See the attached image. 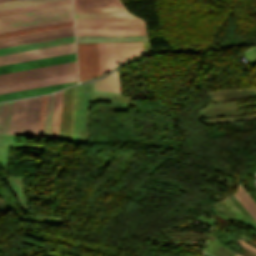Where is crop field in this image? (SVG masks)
Listing matches in <instances>:
<instances>
[{"label": "crop field", "mask_w": 256, "mask_h": 256, "mask_svg": "<svg viewBox=\"0 0 256 256\" xmlns=\"http://www.w3.org/2000/svg\"><path fill=\"white\" fill-rule=\"evenodd\" d=\"M41 96L1 103L0 133L37 136Z\"/></svg>", "instance_id": "obj_1"}, {"label": "crop field", "mask_w": 256, "mask_h": 256, "mask_svg": "<svg viewBox=\"0 0 256 256\" xmlns=\"http://www.w3.org/2000/svg\"><path fill=\"white\" fill-rule=\"evenodd\" d=\"M72 18L71 4L0 16V31Z\"/></svg>", "instance_id": "obj_2"}, {"label": "crop field", "mask_w": 256, "mask_h": 256, "mask_svg": "<svg viewBox=\"0 0 256 256\" xmlns=\"http://www.w3.org/2000/svg\"><path fill=\"white\" fill-rule=\"evenodd\" d=\"M101 75L142 53L141 43L98 44Z\"/></svg>", "instance_id": "obj_3"}, {"label": "crop field", "mask_w": 256, "mask_h": 256, "mask_svg": "<svg viewBox=\"0 0 256 256\" xmlns=\"http://www.w3.org/2000/svg\"><path fill=\"white\" fill-rule=\"evenodd\" d=\"M76 72L75 62L1 74L0 85Z\"/></svg>", "instance_id": "obj_4"}, {"label": "crop field", "mask_w": 256, "mask_h": 256, "mask_svg": "<svg viewBox=\"0 0 256 256\" xmlns=\"http://www.w3.org/2000/svg\"><path fill=\"white\" fill-rule=\"evenodd\" d=\"M80 81L100 75L97 44H77Z\"/></svg>", "instance_id": "obj_5"}, {"label": "crop field", "mask_w": 256, "mask_h": 256, "mask_svg": "<svg viewBox=\"0 0 256 256\" xmlns=\"http://www.w3.org/2000/svg\"><path fill=\"white\" fill-rule=\"evenodd\" d=\"M75 52L74 43L0 56V65Z\"/></svg>", "instance_id": "obj_6"}, {"label": "crop field", "mask_w": 256, "mask_h": 256, "mask_svg": "<svg viewBox=\"0 0 256 256\" xmlns=\"http://www.w3.org/2000/svg\"><path fill=\"white\" fill-rule=\"evenodd\" d=\"M146 34L144 25L76 26V35Z\"/></svg>", "instance_id": "obj_7"}, {"label": "crop field", "mask_w": 256, "mask_h": 256, "mask_svg": "<svg viewBox=\"0 0 256 256\" xmlns=\"http://www.w3.org/2000/svg\"><path fill=\"white\" fill-rule=\"evenodd\" d=\"M73 61H75V53L0 66V74L19 71V70H25V69H31V68H37V67H43V66H49V65H55V64H61V63H67V62H73Z\"/></svg>", "instance_id": "obj_8"}, {"label": "crop field", "mask_w": 256, "mask_h": 256, "mask_svg": "<svg viewBox=\"0 0 256 256\" xmlns=\"http://www.w3.org/2000/svg\"><path fill=\"white\" fill-rule=\"evenodd\" d=\"M77 80L76 73L0 86V93Z\"/></svg>", "instance_id": "obj_9"}, {"label": "crop field", "mask_w": 256, "mask_h": 256, "mask_svg": "<svg viewBox=\"0 0 256 256\" xmlns=\"http://www.w3.org/2000/svg\"><path fill=\"white\" fill-rule=\"evenodd\" d=\"M72 42H74L73 36L59 38V39H53V40H47V41H41V42H35V43H29V44H23V45H17V46H11V47H5V48H0V55L20 52V51H26V50H32V49H38V48H43V47H49V46H55V45H60V44L72 43Z\"/></svg>", "instance_id": "obj_10"}, {"label": "crop field", "mask_w": 256, "mask_h": 256, "mask_svg": "<svg viewBox=\"0 0 256 256\" xmlns=\"http://www.w3.org/2000/svg\"><path fill=\"white\" fill-rule=\"evenodd\" d=\"M75 82H69V83H63V84H57V85H51V86H45V87H39L37 88L40 94L49 93L52 91H56L62 87H67L70 85L76 84ZM36 88L34 89H28V90H22V91H16V92H10V93H4L0 94V101L9 100L13 98H19V97H26V96H32L39 94Z\"/></svg>", "instance_id": "obj_11"}, {"label": "crop field", "mask_w": 256, "mask_h": 256, "mask_svg": "<svg viewBox=\"0 0 256 256\" xmlns=\"http://www.w3.org/2000/svg\"><path fill=\"white\" fill-rule=\"evenodd\" d=\"M92 83L94 92L121 94L117 71Z\"/></svg>", "instance_id": "obj_12"}, {"label": "crop field", "mask_w": 256, "mask_h": 256, "mask_svg": "<svg viewBox=\"0 0 256 256\" xmlns=\"http://www.w3.org/2000/svg\"><path fill=\"white\" fill-rule=\"evenodd\" d=\"M77 42L147 41L146 35L76 36Z\"/></svg>", "instance_id": "obj_13"}, {"label": "crop field", "mask_w": 256, "mask_h": 256, "mask_svg": "<svg viewBox=\"0 0 256 256\" xmlns=\"http://www.w3.org/2000/svg\"><path fill=\"white\" fill-rule=\"evenodd\" d=\"M76 25L144 24L138 18L75 19Z\"/></svg>", "instance_id": "obj_14"}, {"label": "crop field", "mask_w": 256, "mask_h": 256, "mask_svg": "<svg viewBox=\"0 0 256 256\" xmlns=\"http://www.w3.org/2000/svg\"><path fill=\"white\" fill-rule=\"evenodd\" d=\"M63 91L55 95L51 139L58 140Z\"/></svg>", "instance_id": "obj_15"}, {"label": "crop field", "mask_w": 256, "mask_h": 256, "mask_svg": "<svg viewBox=\"0 0 256 256\" xmlns=\"http://www.w3.org/2000/svg\"><path fill=\"white\" fill-rule=\"evenodd\" d=\"M233 195L256 220V203L254 204V202L251 200L252 198L250 199L241 186H239L238 190Z\"/></svg>", "instance_id": "obj_16"}, {"label": "crop field", "mask_w": 256, "mask_h": 256, "mask_svg": "<svg viewBox=\"0 0 256 256\" xmlns=\"http://www.w3.org/2000/svg\"><path fill=\"white\" fill-rule=\"evenodd\" d=\"M74 7L122 6L119 0H73Z\"/></svg>", "instance_id": "obj_17"}, {"label": "crop field", "mask_w": 256, "mask_h": 256, "mask_svg": "<svg viewBox=\"0 0 256 256\" xmlns=\"http://www.w3.org/2000/svg\"><path fill=\"white\" fill-rule=\"evenodd\" d=\"M71 30H73V26L54 29V30H48V31H42V32H37V33L25 34V35H20V36L2 38V39H0V43L14 41V40H20V39H26V38H31V37H37V36H43V35H48V34H54V33H59V32L71 31Z\"/></svg>", "instance_id": "obj_18"}, {"label": "crop field", "mask_w": 256, "mask_h": 256, "mask_svg": "<svg viewBox=\"0 0 256 256\" xmlns=\"http://www.w3.org/2000/svg\"><path fill=\"white\" fill-rule=\"evenodd\" d=\"M69 3H71V0H63V1H57V2L33 5V6H27V7L3 10V11H0V15L9 14V13H15V12H21V11H27V10H33V9H39V8H45V7H51V6H57V5H63V4H69Z\"/></svg>", "instance_id": "obj_19"}, {"label": "crop field", "mask_w": 256, "mask_h": 256, "mask_svg": "<svg viewBox=\"0 0 256 256\" xmlns=\"http://www.w3.org/2000/svg\"><path fill=\"white\" fill-rule=\"evenodd\" d=\"M71 35H73V31L54 34V35H48V36H43V37L31 38V39H26V40L14 41V42H9V43H3V44H0V47L23 44V43H29V42H35V41H41V40H47V39H53V38H59V37H65V36H71Z\"/></svg>", "instance_id": "obj_20"}, {"label": "crop field", "mask_w": 256, "mask_h": 256, "mask_svg": "<svg viewBox=\"0 0 256 256\" xmlns=\"http://www.w3.org/2000/svg\"><path fill=\"white\" fill-rule=\"evenodd\" d=\"M50 1H56V0H14V1L2 2L0 3V10L38 4V3H44V2H50Z\"/></svg>", "instance_id": "obj_21"}, {"label": "crop field", "mask_w": 256, "mask_h": 256, "mask_svg": "<svg viewBox=\"0 0 256 256\" xmlns=\"http://www.w3.org/2000/svg\"><path fill=\"white\" fill-rule=\"evenodd\" d=\"M75 13L127 12L124 7L74 8Z\"/></svg>", "instance_id": "obj_22"}, {"label": "crop field", "mask_w": 256, "mask_h": 256, "mask_svg": "<svg viewBox=\"0 0 256 256\" xmlns=\"http://www.w3.org/2000/svg\"><path fill=\"white\" fill-rule=\"evenodd\" d=\"M71 25H73L72 22L58 24V25H52V26H46V27H40V28H34V29H28V30H22V31H16V32H10V33H4V34H0V38L19 35V34H25V33H31V32H37V31H42V30L54 29V28H59V27L71 26Z\"/></svg>", "instance_id": "obj_23"}, {"label": "crop field", "mask_w": 256, "mask_h": 256, "mask_svg": "<svg viewBox=\"0 0 256 256\" xmlns=\"http://www.w3.org/2000/svg\"><path fill=\"white\" fill-rule=\"evenodd\" d=\"M135 17L130 13L75 14V18Z\"/></svg>", "instance_id": "obj_24"}, {"label": "crop field", "mask_w": 256, "mask_h": 256, "mask_svg": "<svg viewBox=\"0 0 256 256\" xmlns=\"http://www.w3.org/2000/svg\"><path fill=\"white\" fill-rule=\"evenodd\" d=\"M53 95H48L44 136L49 137Z\"/></svg>", "instance_id": "obj_25"}, {"label": "crop field", "mask_w": 256, "mask_h": 256, "mask_svg": "<svg viewBox=\"0 0 256 256\" xmlns=\"http://www.w3.org/2000/svg\"><path fill=\"white\" fill-rule=\"evenodd\" d=\"M47 95L42 96L38 136H43Z\"/></svg>", "instance_id": "obj_26"}, {"label": "crop field", "mask_w": 256, "mask_h": 256, "mask_svg": "<svg viewBox=\"0 0 256 256\" xmlns=\"http://www.w3.org/2000/svg\"><path fill=\"white\" fill-rule=\"evenodd\" d=\"M70 21H72V19L64 20V21H58V22H53V23H47V24H42V25H36V26H30V27H25V28L13 29V30H8V31H2L0 33L16 31V30H22V29H28V28H34V27H40V26H46V25H52V24H58V23H64V22H70Z\"/></svg>", "instance_id": "obj_27"}, {"label": "crop field", "mask_w": 256, "mask_h": 256, "mask_svg": "<svg viewBox=\"0 0 256 256\" xmlns=\"http://www.w3.org/2000/svg\"><path fill=\"white\" fill-rule=\"evenodd\" d=\"M227 206L234 212V214L239 217L242 216V214L239 212V210L233 205V203L229 200V198H226L223 200Z\"/></svg>", "instance_id": "obj_28"}, {"label": "crop field", "mask_w": 256, "mask_h": 256, "mask_svg": "<svg viewBox=\"0 0 256 256\" xmlns=\"http://www.w3.org/2000/svg\"><path fill=\"white\" fill-rule=\"evenodd\" d=\"M256 118L255 116H249V117H243V118H233V119H227V120H218V121H208V122H203L204 124H209V123H218V122H229V121H237V120H244V119H252Z\"/></svg>", "instance_id": "obj_29"}, {"label": "crop field", "mask_w": 256, "mask_h": 256, "mask_svg": "<svg viewBox=\"0 0 256 256\" xmlns=\"http://www.w3.org/2000/svg\"><path fill=\"white\" fill-rule=\"evenodd\" d=\"M247 103H249V102H247ZM239 104H243V103H239ZM231 105H237V104H231ZM222 106H227V105H222ZM214 107V106H213Z\"/></svg>", "instance_id": "obj_30"}, {"label": "crop field", "mask_w": 256, "mask_h": 256, "mask_svg": "<svg viewBox=\"0 0 256 256\" xmlns=\"http://www.w3.org/2000/svg\"><path fill=\"white\" fill-rule=\"evenodd\" d=\"M2 1H8V0H0V2H2Z\"/></svg>", "instance_id": "obj_31"}, {"label": "crop field", "mask_w": 256, "mask_h": 256, "mask_svg": "<svg viewBox=\"0 0 256 256\" xmlns=\"http://www.w3.org/2000/svg\"><path fill=\"white\" fill-rule=\"evenodd\" d=\"M238 254H235L234 256H237ZM239 256V255H238Z\"/></svg>", "instance_id": "obj_32"}, {"label": "crop field", "mask_w": 256, "mask_h": 256, "mask_svg": "<svg viewBox=\"0 0 256 256\" xmlns=\"http://www.w3.org/2000/svg\"><path fill=\"white\" fill-rule=\"evenodd\" d=\"M233 255H234V253L231 256H233Z\"/></svg>", "instance_id": "obj_33"}, {"label": "crop field", "mask_w": 256, "mask_h": 256, "mask_svg": "<svg viewBox=\"0 0 256 256\" xmlns=\"http://www.w3.org/2000/svg\"><path fill=\"white\" fill-rule=\"evenodd\" d=\"M204 256H205V255H204ZM206 256H208V254H207Z\"/></svg>", "instance_id": "obj_34"}]
</instances>
